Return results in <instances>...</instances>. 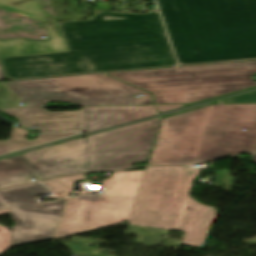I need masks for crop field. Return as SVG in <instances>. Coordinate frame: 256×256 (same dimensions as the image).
Masks as SVG:
<instances>
[{
  "mask_svg": "<svg viewBox=\"0 0 256 256\" xmlns=\"http://www.w3.org/2000/svg\"><path fill=\"white\" fill-rule=\"evenodd\" d=\"M26 132L27 130L22 128H13L11 139L0 141V155L77 134V132L40 134L36 139L27 141Z\"/></svg>",
  "mask_w": 256,
  "mask_h": 256,
  "instance_id": "12",
  "label": "crop field"
},
{
  "mask_svg": "<svg viewBox=\"0 0 256 256\" xmlns=\"http://www.w3.org/2000/svg\"><path fill=\"white\" fill-rule=\"evenodd\" d=\"M252 161L256 162V154L253 155Z\"/></svg>",
  "mask_w": 256,
  "mask_h": 256,
  "instance_id": "20",
  "label": "crop field"
},
{
  "mask_svg": "<svg viewBox=\"0 0 256 256\" xmlns=\"http://www.w3.org/2000/svg\"><path fill=\"white\" fill-rule=\"evenodd\" d=\"M41 184L0 191V200L11 209L12 246L53 237L66 199L38 203L32 196L48 193Z\"/></svg>",
  "mask_w": 256,
  "mask_h": 256,
  "instance_id": "10",
  "label": "crop field"
},
{
  "mask_svg": "<svg viewBox=\"0 0 256 256\" xmlns=\"http://www.w3.org/2000/svg\"><path fill=\"white\" fill-rule=\"evenodd\" d=\"M256 61L108 74L154 94L156 104L194 103L256 86Z\"/></svg>",
  "mask_w": 256,
  "mask_h": 256,
  "instance_id": "6",
  "label": "crop field"
},
{
  "mask_svg": "<svg viewBox=\"0 0 256 256\" xmlns=\"http://www.w3.org/2000/svg\"><path fill=\"white\" fill-rule=\"evenodd\" d=\"M182 106H186V105L156 106V107L158 108V110L160 112H162V111H166V110H170V109H174V108H178V107H182Z\"/></svg>",
  "mask_w": 256,
  "mask_h": 256,
  "instance_id": "17",
  "label": "crop field"
},
{
  "mask_svg": "<svg viewBox=\"0 0 256 256\" xmlns=\"http://www.w3.org/2000/svg\"><path fill=\"white\" fill-rule=\"evenodd\" d=\"M159 118L0 160V188L80 172L147 162Z\"/></svg>",
  "mask_w": 256,
  "mask_h": 256,
  "instance_id": "3",
  "label": "crop field"
},
{
  "mask_svg": "<svg viewBox=\"0 0 256 256\" xmlns=\"http://www.w3.org/2000/svg\"><path fill=\"white\" fill-rule=\"evenodd\" d=\"M4 78V75H3V72H2V69L0 67V81Z\"/></svg>",
  "mask_w": 256,
  "mask_h": 256,
  "instance_id": "19",
  "label": "crop field"
},
{
  "mask_svg": "<svg viewBox=\"0 0 256 256\" xmlns=\"http://www.w3.org/2000/svg\"><path fill=\"white\" fill-rule=\"evenodd\" d=\"M255 150L256 104L212 105L164 118L148 165L192 164Z\"/></svg>",
  "mask_w": 256,
  "mask_h": 256,
  "instance_id": "4",
  "label": "crop field"
},
{
  "mask_svg": "<svg viewBox=\"0 0 256 256\" xmlns=\"http://www.w3.org/2000/svg\"><path fill=\"white\" fill-rule=\"evenodd\" d=\"M180 64L256 58V0H156Z\"/></svg>",
  "mask_w": 256,
  "mask_h": 256,
  "instance_id": "2",
  "label": "crop field"
},
{
  "mask_svg": "<svg viewBox=\"0 0 256 256\" xmlns=\"http://www.w3.org/2000/svg\"><path fill=\"white\" fill-rule=\"evenodd\" d=\"M234 103H256V92L243 95L240 97L232 98L229 100L217 102L215 104H234Z\"/></svg>",
  "mask_w": 256,
  "mask_h": 256,
  "instance_id": "15",
  "label": "crop field"
},
{
  "mask_svg": "<svg viewBox=\"0 0 256 256\" xmlns=\"http://www.w3.org/2000/svg\"><path fill=\"white\" fill-rule=\"evenodd\" d=\"M18 96L7 108L44 107L48 101L80 106L152 104L151 94L102 74L44 78L5 82ZM134 93L144 99H133ZM26 102L27 106H18Z\"/></svg>",
  "mask_w": 256,
  "mask_h": 256,
  "instance_id": "7",
  "label": "crop field"
},
{
  "mask_svg": "<svg viewBox=\"0 0 256 256\" xmlns=\"http://www.w3.org/2000/svg\"><path fill=\"white\" fill-rule=\"evenodd\" d=\"M0 8L45 22L51 40H0V57L68 51L55 18L44 12L33 0H0Z\"/></svg>",
  "mask_w": 256,
  "mask_h": 256,
  "instance_id": "11",
  "label": "crop field"
},
{
  "mask_svg": "<svg viewBox=\"0 0 256 256\" xmlns=\"http://www.w3.org/2000/svg\"><path fill=\"white\" fill-rule=\"evenodd\" d=\"M84 180V175L67 176L49 181L43 184L60 196L68 195L73 190V182Z\"/></svg>",
  "mask_w": 256,
  "mask_h": 256,
  "instance_id": "13",
  "label": "crop field"
},
{
  "mask_svg": "<svg viewBox=\"0 0 256 256\" xmlns=\"http://www.w3.org/2000/svg\"><path fill=\"white\" fill-rule=\"evenodd\" d=\"M201 169L147 168L129 224L185 231L183 245L204 248L215 208L188 196Z\"/></svg>",
  "mask_w": 256,
  "mask_h": 256,
  "instance_id": "5",
  "label": "crop field"
},
{
  "mask_svg": "<svg viewBox=\"0 0 256 256\" xmlns=\"http://www.w3.org/2000/svg\"><path fill=\"white\" fill-rule=\"evenodd\" d=\"M69 52L0 58L9 79L177 65L157 10L58 23Z\"/></svg>",
  "mask_w": 256,
  "mask_h": 256,
  "instance_id": "1",
  "label": "crop field"
},
{
  "mask_svg": "<svg viewBox=\"0 0 256 256\" xmlns=\"http://www.w3.org/2000/svg\"><path fill=\"white\" fill-rule=\"evenodd\" d=\"M10 209L0 211L1 214L9 213ZM11 247L10 232L4 227L0 226V254Z\"/></svg>",
  "mask_w": 256,
  "mask_h": 256,
  "instance_id": "14",
  "label": "crop field"
},
{
  "mask_svg": "<svg viewBox=\"0 0 256 256\" xmlns=\"http://www.w3.org/2000/svg\"><path fill=\"white\" fill-rule=\"evenodd\" d=\"M7 207L0 201V210L6 209Z\"/></svg>",
  "mask_w": 256,
  "mask_h": 256,
  "instance_id": "18",
  "label": "crop field"
},
{
  "mask_svg": "<svg viewBox=\"0 0 256 256\" xmlns=\"http://www.w3.org/2000/svg\"><path fill=\"white\" fill-rule=\"evenodd\" d=\"M16 116L22 127L39 126L40 132H87L157 114L153 106L95 107L83 111L50 113L43 108L2 109Z\"/></svg>",
  "mask_w": 256,
  "mask_h": 256,
  "instance_id": "9",
  "label": "crop field"
},
{
  "mask_svg": "<svg viewBox=\"0 0 256 256\" xmlns=\"http://www.w3.org/2000/svg\"><path fill=\"white\" fill-rule=\"evenodd\" d=\"M1 83L4 85V87H6V88L10 91L9 98H8V100H7V102H6L5 106H4V108H6V106H10V105H13V104L16 103L17 96L15 95V93H14L12 90H10V89L4 84V82H1Z\"/></svg>",
  "mask_w": 256,
  "mask_h": 256,
  "instance_id": "16",
  "label": "crop field"
},
{
  "mask_svg": "<svg viewBox=\"0 0 256 256\" xmlns=\"http://www.w3.org/2000/svg\"><path fill=\"white\" fill-rule=\"evenodd\" d=\"M144 172H112L104 194L69 198L56 237L128 221Z\"/></svg>",
  "mask_w": 256,
  "mask_h": 256,
  "instance_id": "8",
  "label": "crop field"
}]
</instances>
